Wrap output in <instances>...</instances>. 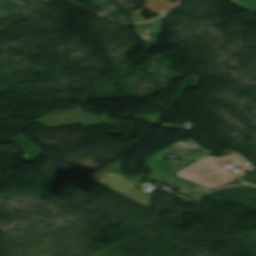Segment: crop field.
Wrapping results in <instances>:
<instances>
[{
    "mask_svg": "<svg viewBox=\"0 0 256 256\" xmlns=\"http://www.w3.org/2000/svg\"><path fill=\"white\" fill-rule=\"evenodd\" d=\"M158 183H161V184L166 183L168 185L176 187L180 190L175 192L190 199H196L199 196L213 190V189L174 177L173 175H170L168 177L161 179Z\"/></svg>",
    "mask_w": 256,
    "mask_h": 256,
    "instance_id": "obj_5",
    "label": "crop field"
},
{
    "mask_svg": "<svg viewBox=\"0 0 256 256\" xmlns=\"http://www.w3.org/2000/svg\"><path fill=\"white\" fill-rule=\"evenodd\" d=\"M104 116L95 117L93 114L84 113L81 107L77 108L74 111L62 112L55 115L47 116L39 121L38 123L48 127H61V126H70L83 124L85 128L118 123L110 121L106 112L103 113Z\"/></svg>",
    "mask_w": 256,
    "mask_h": 256,
    "instance_id": "obj_4",
    "label": "crop field"
},
{
    "mask_svg": "<svg viewBox=\"0 0 256 256\" xmlns=\"http://www.w3.org/2000/svg\"><path fill=\"white\" fill-rule=\"evenodd\" d=\"M161 19L162 18L152 21L151 33H152V37L155 45L157 44L156 43L157 35L159 34L161 29ZM134 27H135L136 35H138L143 39L146 51H151L150 48L153 45H152V41L149 33L150 23L138 24V25H134Z\"/></svg>",
    "mask_w": 256,
    "mask_h": 256,
    "instance_id": "obj_6",
    "label": "crop field"
},
{
    "mask_svg": "<svg viewBox=\"0 0 256 256\" xmlns=\"http://www.w3.org/2000/svg\"><path fill=\"white\" fill-rule=\"evenodd\" d=\"M176 196H178V195H176ZM178 197H180L181 199H183V201L185 202V203H187V202H192L191 200H188V199H186V198H183V197H181V196H178Z\"/></svg>",
    "mask_w": 256,
    "mask_h": 256,
    "instance_id": "obj_12",
    "label": "crop field"
},
{
    "mask_svg": "<svg viewBox=\"0 0 256 256\" xmlns=\"http://www.w3.org/2000/svg\"><path fill=\"white\" fill-rule=\"evenodd\" d=\"M145 165L149 167L148 169L151 170V174L148 176H145L143 178L150 179L153 181H159L161 178L170 175L169 173L163 172V171L156 169L152 166H149L147 164H145Z\"/></svg>",
    "mask_w": 256,
    "mask_h": 256,
    "instance_id": "obj_8",
    "label": "crop field"
},
{
    "mask_svg": "<svg viewBox=\"0 0 256 256\" xmlns=\"http://www.w3.org/2000/svg\"><path fill=\"white\" fill-rule=\"evenodd\" d=\"M180 141V140H179ZM178 142V141H177ZM190 150L198 151L196 146H194L191 142L180 141L154 155L144 160L145 163H148L156 168H159L163 171L169 172L171 174L193 164L194 162H186V161H176L173 164L168 163L166 161L161 160L165 154H174L179 155L180 159L187 160H197L204 155L208 154L205 151L191 153ZM174 167H176L174 169Z\"/></svg>",
    "mask_w": 256,
    "mask_h": 256,
    "instance_id": "obj_2",
    "label": "crop field"
},
{
    "mask_svg": "<svg viewBox=\"0 0 256 256\" xmlns=\"http://www.w3.org/2000/svg\"><path fill=\"white\" fill-rule=\"evenodd\" d=\"M122 161L123 159L105 167L103 170H107V171H111V172H115V173H118L120 175H124L121 171V168H122Z\"/></svg>",
    "mask_w": 256,
    "mask_h": 256,
    "instance_id": "obj_11",
    "label": "crop field"
},
{
    "mask_svg": "<svg viewBox=\"0 0 256 256\" xmlns=\"http://www.w3.org/2000/svg\"><path fill=\"white\" fill-rule=\"evenodd\" d=\"M226 158H228L230 161L234 162L237 167H241V169L239 170V172L236 173V174L238 175V177L241 176V175H243V174H245V173L243 172V170H254V169H256L255 166L250 167V168L244 166L243 164L248 163L249 161L246 160L244 157H242V156H241L240 154H238L237 152H236V153H233V154H231V155L226 156Z\"/></svg>",
    "mask_w": 256,
    "mask_h": 256,
    "instance_id": "obj_7",
    "label": "crop field"
},
{
    "mask_svg": "<svg viewBox=\"0 0 256 256\" xmlns=\"http://www.w3.org/2000/svg\"><path fill=\"white\" fill-rule=\"evenodd\" d=\"M88 178L150 209V200L154 196L135 188L137 182L103 170Z\"/></svg>",
    "mask_w": 256,
    "mask_h": 256,
    "instance_id": "obj_3",
    "label": "crop field"
},
{
    "mask_svg": "<svg viewBox=\"0 0 256 256\" xmlns=\"http://www.w3.org/2000/svg\"><path fill=\"white\" fill-rule=\"evenodd\" d=\"M224 160L225 159L221 157L215 158L207 156L174 175L216 189L236 179L232 173L214 164Z\"/></svg>",
    "mask_w": 256,
    "mask_h": 256,
    "instance_id": "obj_1",
    "label": "crop field"
},
{
    "mask_svg": "<svg viewBox=\"0 0 256 256\" xmlns=\"http://www.w3.org/2000/svg\"><path fill=\"white\" fill-rule=\"evenodd\" d=\"M160 114L154 113V114H148V115H141V116H135L133 117L135 120L146 118L144 121L156 124L158 123Z\"/></svg>",
    "mask_w": 256,
    "mask_h": 256,
    "instance_id": "obj_10",
    "label": "crop field"
},
{
    "mask_svg": "<svg viewBox=\"0 0 256 256\" xmlns=\"http://www.w3.org/2000/svg\"><path fill=\"white\" fill-rule=\"evenodd\" d=\"M250 12H256V0H232Z\"/></svg>",
    "mask_w": 256,
    "mask_h": 256,
    "instance_id": "obj_9",
    "label": "crop field"
}]
</instances>
